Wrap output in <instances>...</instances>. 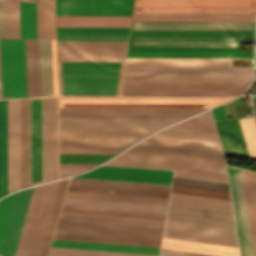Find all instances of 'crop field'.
Returning <instances> with one entry per match:
<instances>
[{
    "mask_svg": "<svg viewBox=\"0 0 256 256\" xmlns=\"http://www.w3.org/2000/svg\"><path fill=\"white\" fill-rule=\"evenodd\" d=\"M67 190L168 197L169 191L69 183ZM137 190L139 192H137Z\"/></svg>",
    "mask_w": 256,
    "mask_h": 256,
    "instance_id": "33",
    "label": "crop field"
},
{
    "mask_svg": "<svg viewBox=\"0 0 256 256\" xmlns=\"http://www.w3.org/2000/svg\"><path fill=\"white\" fill-rule=\"evenodd\" d=\"M113 154H59V163H102Z\"/></svg>",
    "mask_w": 256,
    "mask_h": 256,
    "instance_id": "44",
    "label": "crop field"
},
{
    "mask_svg": "<svg viewBox=\"0 0 256 256\" xmlns=\"http://www.w3.org/2000/svg\"><path fill=\"white\" fill-rule=\"evenodd\" d=\"M172 183L229 191L228 186L224 185V184H217V183H211V182L190 180V179L177 178V177L173 178Z\"/></svg>",
    "mask_w": 256,
    "mask_h": 256,
    "instance_id": "48",
    "label": "crop field"
},
{
    "mask_svg": "<svg viewBox=\"0 0 256 256\" xmlns=\"http://www.w3.org/2000/svg\"><path fill=\"white\" fill-rule=\"evenodd\" d=\"M28 97L41 96L39 40H25Z\"/></svg>",
    "mask_w": 256,
    "mask_h": 256,
    "instance_id": "28",
    "label": "crop field"
},
{
    "mask_svg": "<svg viewBox=\"0 0 256 256\" xmlns=\"http://www.w3.org/2000/svg\"><path fill=\"white\" fill-rule=\"evenodd\" d=\"M163 236L238 247L232 229L166 220Z\"/></svg>",
    "mask_w": 256,
    "mask_h": 256,
    "instance_id": "16",
    "label": "crop field"
},
{
    "mask_svg": "<svg viewBox=\"0 0 256 256\" xmlns=\"http://www.w3.org/2000/svg\"><path fill=\"white\" fill-rule=\"evenodd\" d=\"M151 133L59 131V153H116Z\"/></svg>",
    "mask_w": 256,
    "mask_h": 256,
    "instance_id": "9",
    "label": "crop field"
},
{
    "mask_svg": "<svg viewBox=\"0 0 256 256\" xmlns=\"http://www.w3.org/2000/svg\"><path fill=\"white\" fill-rule=\"evenodd\" d=\"M49 256H158V255L52 247Z\"/></svg>",
    "mask_w": 256,
    "mask_h": 256,
    "instance_id": "39",
    "label": "crop field"
},
{
    "mask_svg": "<svg viewBox=\"0 0 256 256\" xmlns=\"http://www.w3.org/2000/svg\"><path fill=\"white\" fill-rule=\"evenodd\" d=\"M52 246L158 254L159 248L54 240Z\"/></svg>",
    "mask_w": 256,
    "mask_h": 256,
    "instance_id": "35",
    "label": "crop field"
},
{
    "mask_svg": "<svg viewBox=\"0 0 256 256\" xmlns=\"http://www.w3.org/2000/svg\"><path fill=\"white\" fill-rule=\"evenodd\" d=\"M133 0H56V15H131Z\"/></svg>",
    "mask_w": 256,
    "mask_h": 256,
    "instance_id": "17",
    "label": "crop field"
},
{
    "mask_svg": "<svg viewBox=\"0 0 256 256\" xmlns=\"http://www.w3.org/2000/svg\"><path fill=\"white\" fill-rule=\"evenodd\" d=\"M32 188L22 190L15 194L12 209L0 248V254L2 256H14L27 206L31 196Z\"/></svg>",
    "mask_w": 256,
    "mask_h": 256,
    "instance_id": "22",
    "label": "crop field"
},
{
    "mask_svg": "<svg viewBox=\"0 0 256 256\" xmlns=\"http://www.w3.org/2000/svg\"><path fill=\"white\" fill-rule=\"evenodd\" d=\"M159 133L186 135V136H193V137H201V138H208V139L218 140L216 134L196 132V131H188V130H180V129H172V128H167V129H165V130H163Z\"/></svg>",
    "mask_w": 256,
    "mask_h": 256,
    "instance_id": "50",
    "label": "crop field"
},
{
    "mask_svg": "<svg viewBox=\"0 0 256 256\" xmlns=\"http://www.w3.org/2000/svg\"><path fill=\"white\" fill-rule=\"evenodd\" d=\"M124 62H58L59 95H119Z\"/></svg>",
    "mask_w": 256,
    "mask_h": 256,
    "instance_id": "4",
    "label": "crop field"
},
{
    "mask_svg": "<svg viewBox=\"0 0 256 256\" xmlns=\"http://www.w3.org/2000/svg\"><path fill=\"white\" fill-rule=\"evenodd\" d=\"M163 226L60 218L56 231L161 239Z\"/></svg>",
    "mask_w": 256,
    "mask_h": 256,
    "instance_id": "12",
    "label": "crop field"
},
{
    "mask_svg": "<svg viewBox=\"0 0 256 256\" xmlns=\"http://www.w3.org/2000/svg\"><path fill=\"white\" fill-rule=\"evenodd\" d=\"M131 29H254V22H132Z\"/></svg>",
    "mask_w": 256,
    "mask_h": 256,
    "instance_id": "24",
    "label": "crop field"
},
{
    "mask_svg": "<svg viewBox=\"0 0 256 256\" xmlns=\"http://www.w3.org/2000/svg\"><path fill=\"white\" fill-rule=\"evenodd\" d=\"M20 38H36L35 0L19 1Z\"/></svg>",
    "mask_w": 256,
    "mask_h": 256,
    "instance_id": "38",
    "label": "crop field"
},
{
    "mask_svg": "<svg viewBox=\"0 0 256 256\" xmlns=\"http://www.w3.org/2000/svg\"><path fill=\"white\" fill-rule=\"evenodd\" d=\"M131 16H56V27H129Z\"/></svg>",
    "mask_w": 256,
    "mask_h": 256,
    "instance_id": "27",
    "label": "crop field"
},
{
    "mask_svg": "<svg viewBox=\"0 0 256 256\" xmlns=\"http://www.w3.org/2000/svg\"><path fill=\"white\" fill-rule=\"evenodd\" d=\"M98 164H59V167H93Z\"/></svg>",
    "mask_w": 256,
    "mask_h": 256,
    "instance_id": "56",
    "label": "crop field"
},
{
    "mask_svg": "<svg viewBox=\"0 0 256 256\" xmlns=\"http://www.w3.org/2000/svg\"><path fill=\"white\" fill-rule=\"evenodd\" d=\"M160 256H212V255L161 248Z\"/></svg>",
    "mask_w": 256,
    "mask_h": 256,
    "instance_id": "52",
    "label": "crop field"
},
{
    "mask_svg": "<svg viewBox=\"0 0 256 256\" xmlns=\"http://www.w3.org/2000/svg\"><path fill=\"white\" fill-rule=\"evenodd\" d=\"M128 36H57V40L127 41Z\"/></svg>",
    "mask_w": 256,
    "mask_h": 256,
    "instance_id": "49",
    "label": "crop field"
},
{
    "mask_svg": "<svg viewBox=\"0 0 256 256\" xmlns=\"http://www.w3.org/2000/svg\"><path fill=\"white\" fill-rule=\"evenodd\" d=\"M241 256H253L240 170L227 167Z\"/></svg>",
    "mask_w": 256,
    "mask_h": 256,
    "instance_id": "19",
    "label": "crop field"
},
{
    "mask_svg": "<svg viewBox=\"0 0 256 256\" xmlns=\"http://www.w3.org/2000/svg\"><path fill=\"white\" fill-rule=\"evenodd\" d=\"M233 98L59 96V107H211Z\"/></svg>",
    "mask_w": 256,
    "mask_h": 256,
    "instance_id": "8",
    "label": "crop field"
},
{
    "mask_svg": "<svg viewBox=\"0 0 256 256\" xmlns=\"http://www.w3.org/2000/svg\"><path fill=\"white\" fill-rule=\"evenodd\" d=\"M254 30H131L128 50H240Z\"/></svg>",
    "mask_w": 256,
    "mask_h": 256,
    "instance_id": "2",
    "label": "crop field"
},
{
    "mask_svg": "<svg viewBox=\"0 0 256 256\" xmlns=\"http://www.w3.org/2000/svg\"><path fill=\"white\" fill-rule=\"evenodd\" d=\"M207 108H59V118H184Z\"/></svg>",
    "mask_w": 256,
    "mask_h": 256,
    "instance_id": "13",
    "label": "crop field"
},
{
    "mask_svg": "<svg viewBox=\"0 0 256 256\" xmlns=\"http://www.w3.org/2000/svg\"><path fill=\"white\" fill-rule=\"evenodd\" d=\"M212 112L215 120L227 119L222 105L214 108Z\"/></svg>",
    "mask_w": 256,
    "mask_h": 256,
    "instance_id": "55",
    "label": "crop field"
},
{
    "mask_svg": "<svg viewBox=\"0 0 256 256\" xmlns=\"http://www.w3.org/2000/svg\"><path fill=\"white\" fill-rule=\"evenodd\" d=\"M249 156L256 159V121L254 117L238 119Z\"/></svg>",
    "mask_w": 256,
    "mask_h": 256,
    "instance_id": "43",
    "label": "crop field"
},
{
    "mask_svg": "<svg viewBox=\"0 0 256 256\" xmlns=\"http://www.w3.org/2000/svg\"><path fill=\"white\" fill-rule=\"evenodd\" d=\"M253 68L125 67L124 76H252Z\"/></svg>",
    "mask_w": 256,
    "mask_h": 256,
    "instance_id": "20",
    "label": "crop field"
},
{
    "mask_svg": "<svg viewBox=\"0 0 256 256\" xmlns=\"http://www.w3.org/2000/svg\"><path fill=\"white\" fill-rule=\"evenodd\" d=\"M166 219L235 229L230 202L174 193Z\"/></svg>",
    "mask_w": 256,
    "mask_h": 256,
    "instance_id": "7",
    "label": "crop field"
},
{
    "mask_svg": "<svg viewBox=\"0 0 256 256\" xmlns=\"http://www.w3.org/2000/svg\"><path fill=\"white\" fill-rule=\"evenodd\" d=\"M155 135H160V136H174V137H185V138H191V139H197V140H204V141H210V142H216V143H219L218 141H215V140L200 139V138H193V137H186V136L163 135V134H155Z\"/></svg>",
    "mask_w": 256,
    "mask_h": 256,
    "instance_id": "57",
    "label": "crop field"
},
{
    "mask_svg": "<svg viewBox=\"0 0 256 256\" xmlns=\"http://www.w3.org/2000/svg\"><path fill=\"white\" fill-rule=\"evenodd\" d=\"M127 42L57 41L58 61H124Z\"/></svg>",
    "mask_w": 256,
    "mask_h": 256,
    "instance_id": "14",
    "label": "crop field"
},
{
    "mask_svg": "<svg viewBox=\"0 0 256 256\" xmlns=\"http://www.w3.org/2000/svg\"><path fill=\"white\" fill-rule=\"evenodd\" d=\"M42 96L53 95L51 40H40Z\"/></svg>",
    "mask_w": 256,
    "mask_h": 256,
    "instance_id": "37",
    "label": "crop field"
},
{
    "mask_svg": "<svg viewBox=\"0 0 256 256\" xmlns=\"http://www.w3.org/2000/svg\"><path fill=\"white\" fill-rule=\"evenodd\" d=\"M8 38H19L18 1H7Z\"/></svg>",
    "mask_w": 256,
    "mask_h": 256,
    "instance_id": "46",
    "label": "crop field"
},
{
    "mask_svg": "<svg viewBox=\"0 0 256 256\" xmlns=\"http://www.w3.org/2000/svg\"><path fill=\"white\" fill-rule=\"evenodd\" d=\"M127 57H252V51H128Z\"/></svg>",
    "mask_w": 256,
    "mask_h": 256,
    "instance_id": "31",
    "label": "crop field"
},
{
    "mask_svg": "<svg viewBox=\"0 0 256 256\" xmlns=\"http://www.w3.org/2000/svg\"><path fill=\"white\" fill-rule=\"evenodd\" d=\"M0 99H1V85H0Z\"/></svg>",
    "mask_w": 256,
    "mask_h": 256,
    "instance_id": "58",
    "label": "crop field"
},
{
    "mask_svg": "<svg viewBox=\"0 0 256 256\" xmlns=\"http://www.w3.org/2000/svg\"><path fill=\"white\" fill-rule=\"evenodd\" d=\"M89 168H59L60 178L83 172Z\"/></svg>",
    "mask_w": 256,
    "mask_h": 256,
    "instance_id": "53",
    "label": "crop field"
},
{
    "mask_svg": "<svg viewBox=\"0 0 256 256\" xmlns=\"http://www.w3.org/2000/svg\"><path fill=\"white\" fill-rule=\"evenodd\" d=\"M256 118V117H255Z\"/></svg>",
    "mask_w": 256,
    "mask_h": 256,
    "instance_id": "59",
    "label": "crop field"
},
{
    "mask_svg": "<svg viewBox=\"0 0 256 256\" xmlns=\"http://www.w3.org/2000/svg\"><path fill=\"white\" fill-rule=\"evenodd\" d=\"M30 185L42 182V98L29 99Z\"/></svg>",
    "mask_w": 256,
    "mask_h": 256,
    "instance_id": "21",
    "label": "crop field"
},
{
    "mask_svg": "<svg viewBox=\"0 0 256 256\" xmlns=\"http://www.w3.org/2000/svg\"><path fill=\"white\" fill-rule=\"evenodd\" d=\"M215 124L226 156L249 157L237 119Z\"/></svg>",
    "mask_w": 256,
    "mask_h": 256,
    "instance_id": "25",
    "label": "crop field"
},
{
    "mask_svg": "<svg viewBox=\"0 0 256 256\" xmlns=\"http://www.w3.org/2000/svg\"><path fill=\"white\" fill-rule=\"evenodd\" d=\"M14 194L9 195L0 200V245H1L3 234H4V230L6 227L9 212L11 209Z\"/></svg>",
    "mask_w": 256,
    "mask_h": 256,
    "instance_id": "47",
    "label": "crop field"
},
{
    "mask_svg": "<svg viewBox=\"0 0 256 256\" xmlns=\"http://www.w3.org/2000/svg\"><path fill=\"white\" fill-rule=\"evenodd\" d=\"M37 38H55L54 0H36Z\"/></svg>",
    "mask_w": 256,
    "mask_h": 256,
    "instance_id": "32",
    "label": "crop field"
},
{
    "mask_svg": "<svg viewBox=\"0 0 256 256\" xmlns=\"http://www.w3.org/2000/svg\"><path fill=\"white\" fill-rule=\"evenodd\" d=\"M6 100H0V196L7 193Z\"/></svg>",
    "mask_w": 256,
    "mask_h": 256,
    "instance_id": "36",
    "label": "crop field"
},
{
    "mask_svg": "<svg viewBox=\"0 0 256 256\" xmlns=\"http://www.w3.org/2000/svg\"><path fill=\"white\" fill-rule=\"evenodd\" d=\"M60 217L163 225L165 216L62 209Z\"/></svg>",
    "mask_w": 256,
    "mask_h": 256,
    "instance_id": "23",
    "label": "crop field"
},
{
    "mask_svg": "<svg viewBox=\"0 0 256 256\" xmlns=\"http://www.w3.org/2000/svg\"><path fill=\"white\" fill-rule=\"evenodd\" d=\"M54 95H57L55 40H52Z\"/></svg>",
    "mask_w": 256,
    "mask_h": 256,
    "instance_id": "54",
    "label": "crop field"
},
{
    "mask_svg": "<svg viewBox=\"0 0 256 256\" xmlns=\"http://www.w3.org/2000/svg\"><path fill=\"white\" fill-rule=\"evenodd\" d=\"M54 239L159 247L161 240L56 232Z\"/></svg>",
    "mask_w": 256,
    "mask_h": 256,
    "instance_id": "30",
    "label": "crop field"
},
{
    "mask_svg": "<svg viewBox=\"0 0 256 256\" xmlns=\"http://www.w3.org/2000/svg\"><path fill=\"white\" fill-rule=\"evenodd\" d=\"M171 192L230 201L229 192L172 184Z\"/></svg>",
    "mask_w": 256,
    "mask_h": 256,
    "instance_id": "42",
    "label": "crop field"
},
{
    "mask_svg": "<svg viewBox=\"0 0 256 256\" xmlns=\"http://www.w3.org/2000/svg\"><path fill=\"white\" fill-rule=\"evenodd\" d=\"M29 185L28 99H21V188Z\"/></svg>",
    "mask_w": 256,
    "mask_h": 256,
    "instance_id": "34",
    "label": "crop field"
},
{
    "mask_svg": "<svg viewBox=\"0 0 256 256\" xmlns=\"http://www.w3.org/2000/svg\"><path fill=\"white\" fill-rule=\"evenodd\" d=\"M161 247L222 256H239L238 248L163 237Z\"/></svg>",
    "mask_w": 256,
    "mask_h": 256,
    "instance_id": "29",
    "label": "crop field"
},
{
    "mask_svg": "<svg viewBox=\"0 0 256 256\" xmlns=\"http://www.w3.org/2000/svg\"><path fill=\"white\" fill-rule=\"evenodd\" d=\"M130 149L182 153L224 159L219 144L185 138L151 136Z\"/></svg>",
    "mask_w": 256,
    "mask_h": 256,
    "instance_id": "15",
    "label": "crop field"
},
{
    "mask_svg": "<svg viewBox=\"0 0 256 256\" xmlns=\"http://www.w3.org/2000/svg\"><path fill=\"white\" fill-rule=\"evenodd\" d=\"M2 99L27 97L24 40H0Z\"/></svg>",
    "mask_w": 256,
    "mask_h": 256,
    "instance_id": "11",
    "label": "crop field"
},
{
    "mask_svg": "<svg viewBox=\"0 0 256 256\" xmlns=\"http://www.w3.org/2000/svg\"><path fill=\"white\" fill-rule=\"evenodd\" d=\"M8 193L20 188V99L7 100Z\"/></svg>",
    "mask_w": 256,
    "mask_h": 256,
    "instance_id": "18",
    "label": "crop field"
},
{
    "mask_svg": "<svg viewBox=\"0 0 256 256\" xmlns=\"http://www.w3.org/2000/svg\"><path fill=\"white\" fill-rule=\"evenodd\" d=\"M59 181L33 188L15 256H39Z\"/></svg>",
    "mask_w": 256,
    "mask_h": 256,
    "instance_id": "6",
    "label": "crop field"
},
{
    "mask_svg": "<svg viewBox=\"0 0 256 256\" xmlns=\"http://www.w3.org/2000/svg\"><path fill=\"white\" fill-rule=\"evenodd\" d=\"M109 165L175 170L174 176L227 184L224 160L198 156L127 150Z\"/></svg>",
    "mask_w": 256,
    "mask_h": 256,
    "instance_id": "3",
    "label": "crop field"
},
{
    "mask_svg": "<svg viewBox=\"0 0 256 256\" xmlns=\"http://www.w3.org/2000/svg\"><path fill=\"white\" fill-rule=\"evenodd\" d=\"M229 58H127L125 66H228Z\"/></svg>",
    "mask_w": 256,
    "mask_h": 256,
    "instance_id": "26",
    "label": "crop field"
},
{
    "mask_svg": "<svg viewBox=\"0 0 256 256\" xmlns=\"http://www.w3.org/2000/svg\"><path fill=\"white\" fill-rule=\"evenodd\" d=\"M168 198L67 191L62 208L165 215Z\"/></svg>",
    "mask_w": 256,
    "mask_h": 256,
    "instance_id": "5",
    "label": "crop field"
},
{
    "mask_svg": "<svg viewBox=\"0 0 256 256\" xmlns=\"http://www.w3.org/2000/svg\"><path fill=\"white\" fill-rule=\"evenodd\" d=\"M0 38H7L6 1H0Z\"/></svg>",
    "mask_w": 256,
    "mask_h": 256,
    "instance_id": "51",
    "label": "crop field"
},
{
    "mask_svg": "<svg viewBox=\"0 0 256 256\" xmlns=\"http://www.w3.org/2000/svg\"><path fill=\"white\" fill-rule=\"evenodd\" d=\"M69 182L169 190L170 186L71 178Z\"/></svg>",
    "mask_w": 256,
    "mask_h": 256,
    "instance_id": "45",
    "label": "crop field"
},
{
    "mask_svg": "<svg viewBox=\"0 0 256 256\" xmlns=\"http://www.w3.org/2000/svg\"><path fill=\"white\" fill-rule=\"evenodd\" d=\"M170 127L216 133L209 111L198 114Z\"/></svg>",
    "mask_w": 256,
    "mask_h": 256,
    "instance_id": "40",
    "label": "crop field"
},
{
    "mask_svg": "<svg viewBox=\"0 0 256 256\" xmlns=\"http://www.w3.org/2000/svg\"><path fill=\"white\" fill-rule=\"evenodd\" d=\"M129 28H56L57 35H128Z\"/></svg>",
    "mask_w": 256,
    "mask_h": 256,
    "instance_id": "41",
    "label": "crop field"
},
{
    "mask_svg": "<svg viewBox=\"0 0 256 256\" xmlns=\"http://www.w3.org/2000/svg\"><path fill=\"white\" fill-rule=\"evenodd\" d=\"M256 0H135L132 21H254Z\"/></svg>",
    "mask_w": 256,
    "mask_h": 256,
    "instance_id": "1",
    "label": "crop field"
},
{
    "mask_svg": "<svg viewBox=\"0 0 256 256\" xmlns=\"http://www.w3.org/2000/svg\"><path fill=\"white\" fill-rule=\"evenodd\" d=\"M248 83H123L122 95H239Z\"/></svg>",
    "mask_w": 256,
    "mask_h": 256,
    "instance_id": "10",
    "label": "crop field"
}]
</instances>
